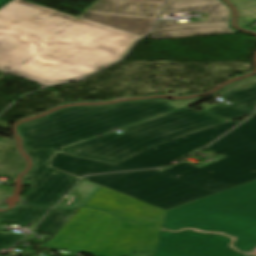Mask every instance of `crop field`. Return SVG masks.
Masks as SVG:
<instances>
[{"mask_svg":"<svg viewBox=\"0 0 256 256\" xmlns=\"http://www.w3.org/2000/svg\"><path fill=\"white\" fill-rule=\"evenodd\" d=\"M207 12L210 21L178 23L158 21L150 38H177L234 32L228 27L230 10L220 0H168L165 13Z\"/></svg>","mask_w":256,"mask_h":256,"instance_id":"obj_7","label":"crop field"},{"mask_svg":"<svg viewBox=\"0 0 256 256\" xmlns=\"http://www.w3.org/2000/svg\"><path fill=\"white\" fill-rule=\"evenodd\" d=\"M137 1H147V2H158V3H164L165 0H137Z\"/></svg>","mask_w":256,"mask_h":256,"instance_id":"obj_21","label":"crop field"},{"mask_svg":"<svg viewBox=\"0 0 256 256\" xmlns=\"http://www.w3.org/2000/svg\"><path fill=\"white\" fill-rule=\"evenodd\" d=\"M224 233L232 247L248 253L256 247V180L167 210L160 229Z\"/></svg>","mask_w":256,"mask_h":256,"instance_id":"obj_4","label":"crop field"},{"mask_svg":"<svg viewBox=\"0 0 256 256\" xmlns=\"http://www.w3.org/2000/svg\"><path fill=\"white\" fill-rule=\"evenodd\" d=\"M124 221L105 211L83 207L48 245L97 252Z\"/></svg>","mask_w":256,"mask_h":256,"instance_id":"obj_8","label":"crop field"},{"mask_svg":"<svg viewBox=\"0 0 256 256\" xmlns=\"http://www.w3.org/2000/svg\"><path fill=\"white\" fill-rule=\"evenodd\" d=\"M239 123L229 121L179 139L155 145L116 165L69 156L59 151L52 158L50 166L57 167L78 177L98 173L160 167L200 146L203 147L211 143Z\"/></svg>","mask_w":256,"mask_h":256,"instance_id":"obj_6","label":"crop field"},{"mask_svg":"<svg viewBox=\"0 0 256 256\" xmlns=\"http://www.w3.org/2000/svg\"><path fill=\"white\" fill-rule=\"evenodd\" d=\"M10 1H12V0H0V8H2L4 5L9 3Z\"/></svg>","mask_w":256,"mask_h":256,"instance_id":"obj_20","label":"crop field"},{"mask_svg":"<svg viewBox=\"0 0 256 256\" xmlns=\"http://www.w3.org/2000/svg\"><path fill=\"white\" fill-rule=\"evenodd\" d=\"M162 5L128 0H98L86 12L156 18Z\"/></svg>","mask_w":256,"mask_h":256,"instance_id":"obj_14","label":"crop field"},{"mask_svg":"<svg viewBox=\"0 0 256 256\" xmlns=\"http://www.w3.org/2000/svg\"><path fill=\"white\" fill-rule=\"evenodd\" d=\"M101 186L83 179L68 195L55 207L57 208H74L84 205Z\"/></svg>","mask_w":256,"mask_h":256,"instance_id":"obj_17","label":"crop field"},{"mask_svg":"<svg viewBox=\"0 0 256 256\" xmlns=\"http://www.w3.org/2000/svg\"><path fill=\"white\" fill-rule=\"evenodd\" d=\"M248 256H250V255H248Z\"/></svg>","mask_w":256,"mask_h":256,"instance_id":"obj_24","label":"crop field"},{"mask_svg":"<svg viewBox=\"0 0 256 256\" xmlns=\"http://www.w3.org/2000/svg\"><path fill=\"white\" fill-rule=\"evenodd\" d=\"M196 168H198V167L190 165V164L185 163V162H182V163H180L178 165H175L171 168H168L166 170H163V169H158V170L161 171V172L170 174L172 176L178 177V176H180L182 174H185V173H187L191 170H194Z\"/></svg>","mask_w":256,"mask_h":256,"instance_id":"obj_19","label":"crop field"},{"mask_svg":"<svg viewBox=\"0 0 256 256\" xmlns=\"http://www.w3.org/2000/svg\"><path fill=\"white\" fill-rule=\"evenodd\" d=\"M49 208L19 205L16 209L5 214H0V218L5 221H11L19 224L35 225ZM22 235L13 233H0V248L7 247L21 239Z\"/></svg>","mask_w":256,"mask_h":256,"instance_id":"obj_16","label":"crop field"},{"mask_svg":"<svg viewBox=\"0 0 256 256\" xmlns=\"http://www.w3.org/2000/svg\"><path fill=\"white\" fill-rule=\"evenodd\" d=\"M231 102L206 110L214 115L232 120L250 114L256 107V84L221 95Z\"/></svg>","mask_w":256,"mask_h":256,"instance_id":"obj_13","label":"crop field"},{"mask_svg":"<svg viewBox=\"0 0 256 256\" xmlns=\"http://www.w3.org/2000/svg\"><path fill=\"white\" fill-rule=\"evenodd\" d=\"M231 242L232 239L219 234L160 230L151 256H245L229 247Z\"/></svg>","mask_w":256,"mask_h":256,"instance_id":"obj_9","label":"crop field"},{"mask_svg":"<svg viewBox=\"0 0 256 256\" xmlns=\"http://www.w3.org/2000/svg\"><path fill=\"white\" fill-rule=\"evenodd\" d=\"M158 231L126 220L94 256H124L135 251L153 250Z\"/></svg>","mask_w":256,"mask_h":256,"instance_id":"obj_12","label":"crop field"},{"mask_svg":"<svg viewBox=\"0 0 256 256\" xmlns=\"http://www.w3.org/2000/svg\"><path fill=\"white\" fill-rule=\"evenodd\" d=\"M140 37L13 0L0 9V69L45 85L73 81L116 62Z\"/></svg>","mask_w":256,"mask_h":256,"instance_id":"obj_1","label":"crop field"},{"mask_svg":"<svg viewBox=\"0 0 256 256\" xmlns=\"http://www.w3.org/2000/svg\"><path fill=\"white\" fill-rule=\"evenodd\" d=\"M57 210L55 208L37 224L34 230L56 235L61 228L81 209Z\"/></svg>","mask_w":256,"mask_h":256,"instance_id":"obj_18","label":"crop field"},{"mask_svg":"<svg viewBox=\"0 0 256 256\" xmlns=\"http://www.w3.org/2000/svg\"><path fill=\"white\" fill-rule=\"evenodd\" d=\"M251 254L252 255H256V249Z\"/></svg>","mask_w":256,"mask_h":256,"instance_id":"obj_23","label":"crop field"},{"mask_svg":"<svg viewBox=\"0 0 256 256\" xmlns=\"http://www.w3.org/2000/svg\"><path fill=\"white\" fill-rule=\"evenodd\" d=\"M53 149H37L27 153L35 162L25 178L30 179V193L20 203L53 205L78 179L47 166Z\"/></svg>","mask_w":256,"mask_h":256,"instance_id":"obj_10","label":"crop field"},{"mask_svg":"<svg viewBox=\"0 0 256 256\" xmlns=\"http://www.w3.org/2000/svg\"><path fill=\"white\" fill-rule=\"evenodd\" d=\"M207 149L226 157L178 178L156 170L86 177L164 210L256 179V114Z\"/></svg>","mask_w":256,"mask_h":256,"instance_id":"obj_2","label":"crop field"},{"mask_svg":"<svg viewBox=\"0 0 256 256\" xmlns=\"http://www.w3.org/2000/svg\"><path fill=\"white\" fill-rule=\"evenodd\" d=\"M85 205L136 222L160 227L164 210L102 187Z\"/></svg>","mask_w":256,"mask_h":256,"instance_id":"obj_11","label":"crop field"},{"mask_svg":"<svg viewBox=\"0 0 256 256\" xmlns=\"http://www.w3.org/2000/svg\"><path fill=\"white\" fill-rule=\"evenodd\" d=\"M233 3L244 1V0H231Z\"/></svg>","mask_w":256,"mask_h":256,"instance_id":"obj_22","label":"crop field"},{"mask_svg":"<svg viewBox=\"0 0 256 256\" xmlns=\"http://www.w3.org/2000/svg\"><path fill=\"white\" fill-rule=\"evenodd\" d=\"M227 122L187 107L61 149L66 154L116 164L150 146Z\"/></svg>","mask_w":256,"mask_h":256,"instance_id":"obj_5","label":"crop field"},{"mask_svg":"<svg viewBox=\"0 0 256 256\" xmlns=\"http://www.w3.org/2000/svg\"><path fill=\"white\" fill-rule=\"evenodd\" d=\"M82 19L138 35L149 33L156 19L87 13Z\"/></svg>","mask_w":256,"mask_h":256,"instance_id":"obj_15","label":"crop field"},{"mask_svg":"<svg viewBox=\"0 0 256 256\" xmlns=\"http://www.w3.org/2000/svg\"><path fill=\"white\" fill-rule=\"evenodd\" d=\"M152 99L99 107L62 109L19 125L24 150L63 147L197 102Z\"/></svg>","mask_w":256,"mask_h":256,"instance_id":"obj_3","label":"crop field"}]
</instances>
